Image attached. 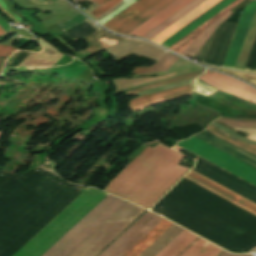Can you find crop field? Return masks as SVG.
<instances>
[{
    "instance_id": "crop-field-9",
    "label": "crop field",
    "mask_w": 256,
    "mask_h": 256,
    "mask_svg": "<svg viewBox=\"0 0 256 256\" xmlns=\"http://www.w3.org/2000/svg\"><path fill=\"white\" fill-rule=\"evenodd\" d=\"M192 0H176L171 5L163 9L161 12L156 14L154 17L149 19L147 22L139 26L137 29L132 31L130 35H138V36H144L146 33L151 31L153 28L158 26L160 23H162L164 20L169 18L171 15L176 13L178 10L183 8L185 5L190 3Z\"/></svg>"
},
{
    "instance_id": "crop-field-16",
    "label": "crop field",
    "mask_w": 256,
    "mask_h": 256,
    "mask_svg": "<svg viewBox=\"0 0 256 256\" xmlns=\"http://www.w3.org/2000/svg\"><path fill=\"white\" fill-rule=\"evenodd\" d=\"M183 230L184 229L173 224L139 256H155Z\"/></svg>"
},
{
    "instance_id": "crop-field-2",
    "label": "crop field",
    "mask_w": 256,
    "mask_h": 256,
    "mask_svg": "<svg viewBox=\"0 0 256 256\" xmlns=\"http://www.w3.org/2000/svg\"><path fill=\"white\" fill-rule=\"evenodd\" d=\"M184 157L159 143L148 147L105 190L148 208L188 170L177 166Z\"/></svg>"
},
{
    "instance_id": "crop-field-25",
    "label": "crop field",
    "mask_w": 256,
    "mask_h": 256,
    "mask_svg": "<svg viewBox=\"0 0 256 256\" xmlns=\"http://www.w3.org/2000/svg\"><path fill=\"white\" fill-rule=\"evenodd\" d=\"M178 60H179V58H177L169 53H165L162 56V58L153 67L148 69L144 74L167 70Z\"/></svg>"
},
{
    "instance_id": "crop-field-4",
    "label": "crop field",
    "mask_w": 256,
    "mask_h": 256,
    "mask_svg": "<svg viewBox=\"0 0 256 256\" xmlns=\"http://www.w3.org/2000/svg\"><path fill=\"white\" fill-rule=\"evenodd\" d=\"M162 219L147 211L98 256H122Z\"/></svg>"
},
{
    "instance_id": "crop-field-24",
    "label": "crop field",
    "mask_w": 256,
    "mask_h": 256,
    "mask_svg": "<svg viewBox=\"0 0 256 256\" xmlns=\"http://www.w3.org/2000/svg\"><path fill=\"white\" fill-rule=\"evenodd\" d=\"M207 131H209V132H211V133H213V134H215V135H217V136H219V137H221V138H223V139H225V140H227V141H229V142H231V143H233V144H235V145H237V146H239V147H241V148H243V149H245V150H247V151L256 155V146L245 144V143L227 135L226 133H224V132H222V131H220V130L212 127V126H209Z\"/></svg>"
},
{
    "instance_id": "crop-field-11",
    "label": "crop field",
    "mask_w": 256,
    "mask_h": 256,
    "mask_svg": "<svg viewBox=\"0 0 256 256\" xmlns=\"http://www.w3.org/2000/svg\"><path fill=\"white\" fill-rule=\"evenodd\" d=\"M235 0H223L222 2H220L219 4H217L215 7H213L212 9H210L208 12H206L205 14H203L202 16H200L198 19H196L195 21H193L191 24H189L188 26H186L184 29H182L181 31H179L177 34H175L174 36H172L170 39H168L167 41H165L162 45L166 46V47H171L173 44H175L176 42H178L180 39H182L183 37H185L186 35H188L190 32H192L193 30H195L197 27H199L200 25H202L204 22H206L207 20H209L211 17H213L214 15H216L217 13H219L221 10H223L224 8H226L228 5H230L231 3H233Z\"/></svg>"
},
{
    "instance_id": "crop-field-36",
    "label": "crop field",
    "mask_w": 256,
    "mask_h": 256,
    "mask_svg": "<svg viewBox=\"0 0 256 256\" xmlns=\"http://www.w3.org/2000/svg\"><path fill=\"white\" fill-rule=\"evenodd\" d=\"M88 22H90V21H88ZM90 23H91V25H92L94 28L98 29L97 27L94 26V23H92V22H90ZM98 30H100V29H98Z\"/></svg>"
},
{
    "instance_id": "crop-field-1",
    "label": "crop field",
    "mask_w": 256,
    "mask_h": 256,
    "mask_svg": "<svg viewBox=\"0 0 256 256\" xmlns=\"http://www.w3.org/2000/svg\"><path fill=\"white\" fill-rule=\"evenodd\" d=\"M107 193L88 189L14 256H41ZM125 201L108 194L42 256H66Z\"/></svg>"
},
{
    "instance_id": "crop-field-29",
    "label": "crop field",
    "mask_w": 256,
    "mask_h": 256,
    "mask_svg": "<svg viewBox=\"0 0 256 256\" xmlns=\"http://www.w3.org/2000/svg\"><path fill=\"white\" fill-rule=\"evenodd\" d=\"M210 125H212V126L218 128V129H220V130H222V131L228 133L229 135H231V136H233V137H235V138H237V139H239V140H241V141H243V142H245V143L256 145L255 142H250V141H248V140H246V139H244V138L238 136L237 134H235V133H233V132H231V131L225 129L224 127H222V126H220V125H218V124H216V123H214V122H212Z\"/></svg>"
},
{
    "instance_id": "crop-field-7",
    "label": "crop field",
    "mask_w": 256,
    "mask_h": 256,
    "mask_svg": "<svg viewBox=\"0 0 256 256\" xmlns=\"http://www.w3.org/2000/svg\"><path fill=\"white\" fill-rule=\"evenodd\" d=\"M256 12V0H253L244 9L239 24L237 26L236 32L230 44L229 50L225 57L222 66L233 68L238 57L239 51L243 44L244 38L248 31L249 25L251 23L252 17Z\"/></svg>"
},
{
    "instance_id": "crop-field-38",
    "label": "crop field",
    "mask_w": 256,
    "mask_h": 256,
    "mask_svg": "<svg viewBox=\"0 0 256 256\" xmlns=\"http://www.w3.org/2000/svg\"><path fill=\"white\" fill-rule=\"evenodd\" d=\"M1 136H2V133H0V138H1Z\"/></svg>"
},
{
    "instance_id": "crop-field-3",
    "label": "crop field",
    "mask_w": 256,
    "mask_h": 256,
    "mask_svg": "<svg viewBox=\"0 0 256 256\" xmlns=\"http://www.w3.org/2000/svg\"><path fill=\"white\" fill-rule=\"evenodd\" d=\"M144 212L126 202L68 256H96Z\"/></svg>"
},
{
    "instance_id": "crop-field-18",
    "label": "crop field",
    "mask_w": 256,
    "mask_h": 256,
    "mask_svg": "<svg viewBox=\"0 0 256 256\" xmlns=\"http://www.w3.org/2000/svg\"><path fill=\"white\" fill-rule=\"evenodd\" d=\"M232 12H227L225 15L220 17L214 23H212L203 33H201L188 47H186L181 54H185L193 57L198 49L203 45L211 33L216 29V27L223 22ZM200 50V49H199ZM196 55V54H195Z\"/></svg>"
},
{
    "instance_id": "crop-field-17",
    "label": "crop field",
    "mask_w": 256,
    "mask_h": 256,
    "mask_svg": "<svg viewBox=\"0 0 256 256\" xmlns=\"http://www.w3.org/2000/svg\"><path fill=\"white\" fill-rule=\"evenodd\" d=\"M203 72L204 71L195 72V73H191V74L179 77V78H174V79H170V80L160 82V83H157V84H154V85H150V86H147V87L131 90V91L126 92L125 95L130 96V95H133V94L137 93L139 96H141L145 93L154 91V90L159 89V88L169 87V86H173V85H177V84H181V83H184V82L191 81V80L197 78L198 76H200L201 74H203Z\"/></svg>"
},
{
    "instance_id": "crop-field-37",
    "label": "crop field",
    "mask_w": 256,
    "mask_h": 256,
    "mask_svg": "<svg viewBox=\"0 0 256 256\" xmlns=\"http://www.w3.org/2000/svg\"><path fill=\"white\" fill-rule=\"evenodd\" d=\"M91 6L94 7V6H98V5H96L95 3H93Z\"/></svg>"
},
{
    "instance_id": "crop-field-33",
    "label": "crop field",
    "mask_w": 256,
    "mask_h": 256,
    "mask_svg": "<svg viewBox=\"0 0 256 256\" xmlns=\"http://www.w3.org/2000/svg\"><path fill=\"white\" fill-rule=\"evenodd\" d=\"M220 256H233V255L224 251ZM241 256H250V255H241Z\"/></svg>"
},
{
    "instance_id": "crop-field-27",
    "label": "crop field",
    "mask_w": 256,
    "mask_h": 256,
    "mask_svg": "<svg viewBox=\"0 0 256 256\" xmlns=\"http://www.w3.org/2000/svg\"><path fill=\"white\" fill-rule=\"evenodd\" d=\"M122 0H109L108 2H106L103 6H101L99 9L97 8H88L86 11H84L85 13H87L91 18H93L94 20L99 17L100 15H102L103 13H105L106 11H108L110 8H112L113 6H115L117 3H119ZM97 9V10H96ZM96 10V11H94ZM94 11V12H93ZM93 12V13H91ZM94 15L95 17H93L92 15Z\"/></svg>"
},
{
    "instance_id": "crop-field-8",
    "label": "crop field",
    "mask_w": 256,
    "mask_h": 256,
    "mask_svg": "<svg viewBox=\"0 0 256 256\" xmlns=\"http://www.w3.org/2000/svg\"><path fill=\"white\" fill-rule=\"evenodd\" d=\"M191 93V87L188 86L171 90H165L149 95L145 94L141 97L131 100L128 104V108L137 112L147 106L169 101Z\"/></svg>"
},
{
    "instance_id": "crop-field-5",
    "label": "crop field",
    "mask_w": 256,
    "mask_h": 256,
    "mask_svg": "<svg viewBox=\"0 0 256 256\" xmlns=\"http://www.w3.org/2000/svg\"><path fill=\"white\" fill-rule=\"evenodd\" d=\"M221 91L256 103V90L225 75L209 70L199 78Z\"/></svg>"
},
{
    "instance_id": "crop-field-19",
    "label": "crop field",
    "mask_w": 256,
    "mask_h": 256,
    "mask_svg": "<svg viewBox=\"0 0 256 256\" xmlns=\"http://www.w3.org/2000/svg\"><path fill=\"white\" fill-rule=\"evenodd\" d=\"M205 0H194L193 2H191L190 4H188L186 7H184L183 9H181L179 12H177L176 14H174L172 17H170L169 19H167L165 22H163L162 24H160L158 27H156L155 29H153L151 32H149L148 34H146L144 37L148 38V39H152L154 38L156 35H158L159 33H161L162 31H164L166 28H168L169 26H171L173 23H175L176 21H178L180 18H182L183 16H185L187 13H189L190 11H192L194 8H196L197 6H199L201 3H203Z\"/></svg>"
},
{
    "instance_id": "crop-field-20",
    "label": "crop field",
    "mask_w": 256,
    "mask_h": 256,
    "mask_svg": "<svg viewBox=\"0 0 256 256\" xmlns=\"http://www.w3.org/2000/svg\"><path fill=\"white\" fill-rule=\"evenodd\" d=\"M193 244L180 256H217L223 251L200 238Z\"/></svg>"
},
{
    "instance_id": "crop-field-35",
    "label": "crop field",
    "mask_w": 256,
    "mask_h": 256,
    "mask_svg": "<svg viewBox=\"0 0 256 256\" xmlns=\"http://www.w3.org/2000/svg\"><path fill=\"white\" fill-rule=\"evenodd\" d=\"M4 35L3 30L0 28V36Z\"/></svg>"
},
{
    "instance_id": "crop-field-26",
    "label": "crop field",
    "mask_w": 256,
    "mask_h": 256,
    "mask_svg": "<svg viewBox=\"0 0 256 256\" xmlns=\"http://www.w3.org/2000/svg\"><path fill=\"white\" fill-rule=\"evenodd\" d=\"M105 34L104 32L100 31L98 33L93 34L92 36L86 38V41L89 45V47L85 48V50L92 56L102 50H104L103 46L98 42V40L95 38L96 36L100 35V34ZM109 37L112 38H116V39H120V40H124L123 38H118V37H114L108 34H105Z\"/></svg>"
},
{
    "instance_id": "crop-field-21",
    "label": "crop field",
    "mask_w": 256,
    "mask_h": 256,
    "mask_svg": "<svg viewBox=\"0 0 256 256\" xmlns=\"http://www.w3.org/2000/svg\"><path fill=\"white\" fill-rule=\"evenodd\" d=\"M242 0H237L230 6H228L226 9L221 11L219 14L214 16L212 19L204 23L202 26L197 28L195 31L190 33L188 36L180 40L178 43L173 45L170 49L175 50L177 52H181L187 45H189L203 30H205L212 22H214L216 19H218L220 16H222L224 13H226L228 10H230L232 7H234L236 4H238ZM203 33V32H202Z\"/></svg>"
},
{
    "instance_id": "crop-field-31",
    "label": "crop field",
    "mask_w": 256,
    "mask_h": 256,
    "mask_svg": "<svg viewBox=\"0 0 256 256\" xmlns=\"http://www.w3.org/2000/svg\"><path fill=\"white\" fill-rule=\"evenodd\" d=\"M148 68H144V67H137L134 68L132 74H143Z\"/></svg>"
},
{
    "instance_id": "crop-field-14",
    "label": "crop field",
    "mask_w": 256,
    "mask_h": 256,
    "mask_svg": "<svg viewBox=\"0 0 256 256\" xmlns=\"http://www.w3.org/2000/svg\"><path fill=\"white\" fill-rule=\"evenodd\" d=\"M172 223L162 220L148 234H146L136 245H134L123 256H138L145 248H147L156 238H158Z\"/></svg>"
},
{
    "instance_id": "crop-field-30",
    "label": "crop field",
    "mask_w": 256,
    "mask_h": 256,
    "mask_svg": "<svg viewBox=\"0 0 256 256\" xmlns=\"http://www.w3.org/2000/svg\"><path fill=\"white\" fill-rule=\"evenodd\" d=\"M16 49L8 46H0V57L10 56Z\"/></svg>"
},
{
    "instance_id": "crop-field-22",
    "label": "crop field",
    "mask_w": 256,
    "mask_h": 256,
    "mask_svg": "<svg viewBox=\"0 0 256 256\" xmlns=\"http://www.w3.org/2000/svg\"><path fill=\"white\" fill-rule=\"evenodd\" d=\"M172 1L174 0H162L161 2H159L157 5H155L154 7H152L150 10H148L147 12H145L143 15H141L140 17H138L137 19H135L133 22H131L130 24H128L126 27H124L123 29H121L118 33H122V34H127L129 33L131 30H133L134 28H136L138 25H140L141 23H143L144 21H146L148 18H150L151 16H153L155 13H157L158 11H160L162 8H164L165 6H167L168 4H170Z\"/></svg>"
},
{
    "instance_id": "crop-field-12",
    "label": "crop field",
    "mask_w": 256,
    "mask_h": 256,
    "mask_svg": "<svg viewBox=\"0 0 256 256\" xmlns=\"http://www.w3.org/2000/svg\"><path fill=\"white\" fill-rule=\"evenodd\" d=\"M37 41L47 48L38 54L31 53L21 67H52L63 56L40 39Z\"/></svg>"
},
{
    "instance_id": "crop-field-15",
    "label": "crop field",
    "mask_w": 256,
    "mask_h": 256,
    "mask_svg": "<svg viewBox=\"0 0 256 256\" xmlns=\"http://www.w3.org/2000/svg\"><path fill=\"white\" fill-rule=\"evenodd\" d=\"M197 238L198 237L184 230L156 256H178Z\"/></svg>"
},
{
    "instance_id": "crop-field-10",
    "label": "crop field",
    "mask_w": 256,
    "mask_h": 256,
    "mask_svg": "<svg viewBox=\"0 0 256 256\" xmlns=\"http://www.w3.org/2000/svg\"><path fill=\"white\" fill-rule=\"evenodd\" d=\"M219 1H221V0H207L206 2L201 4L199 7H197L195 10L190 12L188 15L183 17L181 20L176 22L174 25H172L168 29L166 28L167 30H165L161 34L159 33L160 35H158V36L156 35L157 37H155L154 39L152 38L153 39L152 41H154L158 44L162 43L164 40H166L171 35H173L177 31H179L181 28L186 26L188 23L193 21L195 18H197L198 16L203 14L205 11L210 9L212 6L217 4Z\"/></svg>"
},
{
    "instance_id": "crop-field-32",
    "label": "crop field",
    "mask_w": 256,
    "mask_h": 256,
    "mask_svg": "<svg viewBox=\"0 0 256 256\" xmlns=\"http://www.w3.org/2000/svg\"><path fill=\"white\" fill-rule=\"evenodd\" d=\"M56 38L63 43L65 46H67L68 48L72 49L74 52H76L71 46H69L62 38H60L59 36H56Z\"/></svg>"
},
{
    "instance_id": "crop-field-13",
    "label": "crop field",
    "mask_w": 256,
    "mask_h": 256,
    "mask_svg": "<svg viewBox=\"0 0 256 256\" xmlns=\"http://www.w3.org/2000/svg\"><path fill=\"white\" fill-rule=\"evenodd\" d=\"M158 0H139L134 5L107 22L104 26L116 31ZM160 1V0H159ZM156 4V3H155ZM153 6V5H152ZM146 11V10H145ZM143 13V12H142ZM139 16V15H138ZM136 18V17H135ZM132 21V20H131Z\"/></svg>"
},
{
    "instance_id": "crop-field-23",
    "label": "crop field",
    "mask_w": 256,
    "mask_h": 256,
    "mask_svg": "<svg viewBox=\"0 0 256 256\" xmlns=\"http://www.w3.org/2000/svg\"><path fill=\"white\" fill-rule=\"evenodd\" d=\"M131 51L136 55H140V56H143V57H146L149 59H153V60H158L164 53L163 51H161L153 46L143 43V44H141V45H139V46L115 57V58L117 59Z\"/></svg>"
},
{
    "instance_id": "crop-field-34",
    "label": "crop field",
    "mask_w": 256,
    "mask_h": 256,
    "mask_svg": "<svg viewBox=\"0 0 256 256\" xmlns=\"http://www.w3.org/2000/svg\"><path fill=\"white\" fill-rule=\"evenodd\" d=\"M92 1H94V2H96V3H98V4H101V3L104 2L105 0H92Z\"/></svg>"
},
{
    "instance_id": "crop-field-28",
    "label": "crop field",
    "mask_w": 256,
    "mask_h": 256,
    "mask_svg": "<svg viewBox=\"0 0 256 256\" xmlns=\"http://www.w3.org/2000/svg\"><path fill=\"white\" fill-rule=\"evenodd\" d=\"M217 70H220L222 72H225V73H228L235 77H238V78L245 80V81L256 86V75L255 74H249V73L238 72V71H230V70H222V69H217Z\"/></svg>"
},
{
    "instance_id": "crop-field-6",
    "label": "crop field",
    "mask_w": 256,
    "mask_h": 256,
    "mask_svg": "<svg viewBox=\"0 0 256 256\" xmlns=\"http://www.w3.org/2000/svg\"><path fill=\"white\" fill-rule=\"evenodd\" d=\"M185 178L256 215V204L205 178L204 176L191 170Z\"/></svg>"
}]
</instances>
